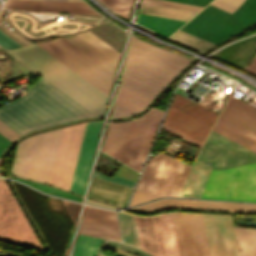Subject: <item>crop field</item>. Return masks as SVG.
<instances>
[{
    "instance_id": "c21b1889",
    "label": "crop field",
    "mask_w": 256,
    "mask_h": 256,
    "mask_svg": "<svg viewBox=\"0 0 256 256\" xmlns=\"http://www.w3.org/2000/svg\"><path fill=\"white\" fill-rule=\"evenodd\" d=\"M63 202H64L66 208L68 209L70 215L72 216L74 222L76 223L81 205L76 204V203H72V202H69V201H65V200H63Z\"/></svg>"
},
{
    "instance_id": "03da06ac",
    "label": "crop field",
    "mask_w": 256,
    "mask_h": 256,
    "mask_svg": "<svg viewBox=\"0 0 256 256\" xmlns=\"http://www.w3.org/2000/svg\"><path fill=\"white\" fill-rule=\"evenodd\" d=\"M0 133L11 141H13L14 139L20 136L16 132H14L12 129H10L8 126L3 124L1 121H0Z\"/></svg>"
},
{
    "instance_id": "8a807250",
    "label": "crop field",
    "mask_w": 256,
    "mask_h": 256,
    "mask_svg": "<svg viewBox=\"0 0 256 256\" xmlns=\"http://www.w3.org/2000/svg\"><path fill=\"white\" fill-rule=\"evenodd\" d=\"M91 116L43 78L24 97L0 109V120L20 135Z\"/></svg>"
},
{
    "instance_id": "d8731c3e",
    "label": "crop field",
    "mask_w": 256,
    "mask_h": 256,
    "mask_svg": "<svg viewBox=\"0 0 256 256\" xmlns=\"http://www.w3.org/2000/svg\"><path fill=\"white\" fill-rule=\"evenodd\" d=\"M38 45L108 95L114 75L65 39L61 38Z\"/></svg>"
},
{
    "instance_id": "214f88e0",
    "label": "crop field",
    "mask_w": 256,
    "mask_h": 256,
    "mask_svg": "<svg viewBox=\"0 0 256 256\" xmlns=\"http://www.w3.org/2000/svg\"><path fill=\"white\" fill-rule=\"evenodd\" d=\"M132 190V188L94 177L88 197L125 207Z\"/></svg>"
},
{
    "instance_id": "e52e79f7",
    "label": "crop field",
    "mask_w": 256,
    "mask_h": 256,
    "mask_svg": "<svg viewBox=\"0 0 256 256\" xmlns=\"http://www.w3.org/2000/svg\"><path fill=\"white\" fill-rule=\"evenodd\" d=\"M213 131L256 152V108L230 96Z\"/></svg>"
},
{
    "instance_id": "4177f3b9",
    "label": "crop field",
    "mask_w": 256,
    "mask_h": 256,
    "mask_svg": "<svg viewBox=\"0 0 256 256\" xmlns=\"http://www.w3.org/2000/svg\"><path fill=\"white\" fill-rule=\"evenodd\" d=\"M140 13L187 21L197 12L143 2Z\"/></svg>"
},
{
    "instance_id": "4a817a6b",
    "label": "crop field",
    "mask_w": 256,
    "mask_h": 256,
    "mask_svg": "<svg viewBox=\"0 0 256 256\" xmlns=\"http://www.w3.org/2000/svg\"><path fill=\"white\" fill-rule=\"evenodd\" d=\"M63 129V128H62ZM62 129L46 132L44 134L34 180L49 182L55 155L60 141Z\"/></svg>"
},
{
    "instance_id": "92a150f3",
    "label": "crop field",
    "mask_w": 256,
    "mask_h": 256,
    "mask_svg": "<svg viewBox=\"0 0 256 256\" xmlns=\"http://www.w3.org/2000/svg\"><path fill=\"white\" fill-rule=\"evenodd\" d=\"M255 53L256 35H253L230 46L224 47L211 56L243 69Z\"/></svg>"
},
{
    "instance_id": "b80d0937",
    "label": "crop field",
    "mask_w": 256,
    "mask_h": 256,
    "mask_svg": "<svg viewBox=\"0 0 256 256\" xmlns=\"http://www.w3.org/2000/svg\"><path fill=\"white\" fill-rule=\"evenodd\" d=\"M0 45L5 49H14L20 47L16 42L6 36L3 32L0 31Z\"/></svg>"
},
{
    "instance_id": "1d83c4d3",
    "label": "crop field",
    "mask_w": 256,
    "mask_h": 256,
    "mask_svg": "<svg viewBox=\"0 0 256 256\" xmlns=\"http://www.w3.org/2000/svg\"><path fill=\"white\" fill-rule=\"evenodd\" d=\"M104 240L78 235L73 256H96Z\"/></svg>"
},
{
    "instance_id": "b54c1fbb",
    "label": "crop field",
    "mask_w": 256,
    "mask_h": 256,
    "mask_svg": "<svg viewBox=\"0 0 256 256\" xmlns=\"http://www.w3.org/2000/svg\"><path fill=\"white\" fill-rule=\"evenodd\" d=\"M162 129H164V130H166V131H168V132H170V133H172V134H174V135H176V136H178V137H180V138H182V139H184V140H186V141H188V142H190V143H192V144H194V145H196V146H198L200 148L202 146V144H200V143L190 139L189 137H187V136L177 132L176 130H174V129L166 126V125H163Z\"/></svg>"
},
{
    "instance_id": "5a996713",
    "label": "crop field",
    "mask_w": 256,
    "mask_h": 256,
    "mask_svg": "<svg viewBox=\"0 0 256 256\" xmlns=\"http://www.w3.org/2000/svg\"><path fill=\"white\" fill-rule=\"evenodd\" d=\"M134 217L142 249L156 256H179L170 213Z\"/></svg>"
},
{
    "instance_id": "dd49c442",
    "label": "crop field",
    "mask_w": 256,
    "mask_h": 256,
    "mask_svg": "<svg viewBox=\"0 0 256 256\" xmlns=\"http://www.w3.org/2000/svg\"><path fill=\"white\" fill-rule=\"evenodd\" d=\"M200 198L256 202V163L226 170L212 169Z\"/></svg>"
},
{
    "instance_id": "3316defc",
    "label": "crop field",
    "mask_w": 256,
    "mask_h": 256,
    "mask_svg": "<svg viewBox=\"0 0 256 256\" xmlns=\"http://www.w3.org/2000/svg\"><path fill=\"white\" fill-rule=\"evenodd\" d=\"M0 239L44 250L4 180L1 179Z\"/></svg>"
},
{
    "instance_id": "dafd665d",
    "label": "crop field",
    "mask_w": 256,
    "mask_h": 256,
    "mask_svg": "<svg viewBox=\"0 0 256 256\" xmlns=\"http://www.w3.org/2000/svg\"><path fill=\"white\" fill-rule=\"evenodd\" d=\"M211 169V167L195 160L188 171L178 196L199 198Z\"/></svg>"
},
{
    "instance_id": "c035e120",
    "label": "crop field",
    "mask_w": 256,
    "mask_h": 256,
    "mask_svg": "<svg viewBox=\"0 0 256 256\" xmlns=\"http://www.w3.org/2000/svg\"><path fill=\"white\" fill-rule=\"evenodd\" d=\"M135 113L136 112L131 111V110L126 109V108H123V107L118 106V105L115 104L113 114H112V118L127 117V116H130V115L135 114Z\"/></svg>"
},
{
    "instance_id": "73cf0c24",
    "label": "crop field",
    "mask_w": 256,
    "mask_h": 256,
    "mask_svg": "<svg viewBox=\"0 0 256 256\" xmlns=\"http://www.w3.org/2000/svg\"><path fill=\"white\" fill-rule=\"evenodd\" d=\"M86 201H87V203H89V204L98 205V206H102V207H106V208L121 209V208H117V207H114V206H110V205L103 204V203L96 202V201L89 200V199H86Z\"/></svg>"
},
{
    "instance_id": "425ffa30",
    "label": "crop field",
    "mask_w": 256,
    "mask_h": 256,
    "mask_svg": "<svg viewBox=\"0 0 256 256\" xmlns=\"http://www.w3.org/2000/svg\"><path fill=\"white\" fill-rule=\"evenodd\" d=\"M219 1H222L224 3H227L231 6H234V7H238L240 6L245 0H219Z\"/></svg>"
},
{
    "instance_id": "22f410ed",
    "label": "crop field",
    "mask_w": 256,
    "mask_h": 256,
    "mask_svg": "<svg viewBox=\"0 0 256 256\" xmlns=\"http://www.w3.org/2000/svg\"><path fill=\"white\" fill-rule=\"evenodd\" d=\"M210 256H238L230 216L202 215Z\"/></svg>"
},
{
    "instance_id": "ac0d7876",
    "label": "crop field",
    "mask_w": 256,
    "mask_h": 256,
    "mask_svg": "<svg viewBox=\"0 0 256 256\" xmlns=\"http://www.w3.org/2000/svg\"><path fill=\"white\" fill-rule=\"evenodd\" d=\"M190 62L132 37L120 86L153 99Z\"/></svg>"
},
{
    "instance_id": "120bbe31",
    "label": "crop field",
    "mask_w": 256,
    "mask_h": 256,
    "mask_svg": "<svg viewBox=\"0 0 256 256\" xmlns=\"http://www.w3.org/2000/svg\"><path fill=\"white\" fill-rule=\"evenodd\" d=\"M169 39L176 41L180 44H183L187 47H190L194 50H197L201 53H203L204 51L208 50L209 48L215 45L203 39L199 41L200 38H197L195 36H192L180 30H178L172 36H170Z\"/></svg>"
},
{
    "instance_id": "28ad6ade",
    "label": "crop field",
    "mask_w": 256,
    "mask_h": 256,
    "mask_svg": "<svg viewBox=\"0 0 256 256\" xmlns=\"http://www.w3.org/2000/svg\"><path fill=\"white\" fill-rule=\"evenodd\" d=\"M85 124L63 129L49 183L69 190Z\"/></svg>"
},
{
    "instance_id": "ae1a2a85",
    "label": "crop field",
    "mask_w": 256,
    "mask_h": 256,
    "mask_svg": "<svg viewBox=\"0 0 256 256\" xmlns=\"http://www.w3.org/2000/svg\"><path fill=\"white\" fill-rule=\"evenodd\" d=\"M150 101L151 99L149 98L120 87L115 103L138 112L143 109Z\"/></svg>"
},
{
    "instance_id": "5866460e",
    "label": "crop field",
    "mask_w": 256,
    "mask_h": 256,
    "mask_svg": "<svg viewBox=\"0 0 256 256\" xmlns=\"http://www.w3.org/2000/svg\"><path fill=\"white\" fill-rule=\"evenodd\" d=\"M10 178L16 179L20 182H23L27 185H30V186H32V187H34V188H36V189H38L42 192H45L47 194L63 197V198L78 201V202H81V199H82L81 197H78L76 195L67 193L65 191L59 190V189L54 188V187H50V186H46V185H42V184H38V183L26 181V180H22V179H18V178H14V177H10Z\"/></svg>"
},
{
    "instance_id": "730fd06b",
    "label": "crop field",
    "mask_w": 256,
    "mask_h": 256,
    "mask_svg": "<svg viewBox=\"0 0 256 256\" xmlns=\"http://www.w3.org/2000/svg\"><path fill=\"white\" fill-rule=\"evenodd\" d=\"M64 38L67 41H69L71 44L76 46L78 49H80L82 52H84L86 55L91 57L93 60H95L97 63L102 65L104 68H106L112 74L115 73L117 64H115L113 61H111L109 58H107L101 52L96 50L94 47H92L90 44H88L86 41H84L78 35L74 34V35L67 36Z\"/></svg>"
},
{
    "instance_id": "028f5c9d",
    "label": "crop field",
    "mask_w": 256,
    "mask_h": 256,
    "mask_svg": "<svg viewBox=\"0 0 256 256\" xmlns=\"http://www.w3.org/2000/svg\"><path fill=\"white\" fill-rule=\"evenodd\" d=\"M109 8L122 15L123 17H129L133 0H100Z\"/></svg>"
},
{
    "instance_id": "733c2abd",
    "label": "crop field",
    "mask_w": 256,
    "mask_h": 256,
    "mask_svg": "<svg viewBox=\"0 0 256 256\" xmlns=\"http://www.w3.org/2000/svg\"><path fill=\"white\" fill-rule=\"evenodd\" d=\"M43 134L31 136L18 144L10 174L33 178Z\"/></svg>"
},
{
    "instance_id": "d9b57169",
    "label": "crop field",
    "mask_w": 256,
    "mask_h": 256,
    "mask_svg": "<svg viewBox=\"0 0 256 256\" xmlns=\"http://www.w3.org/2000/svg\"><path fill=\"white\" fill-rule=\"evenodd\" d=\"M3 8L99 15L84 2L55 0H8Z\"/></svg>"
},
{
    "instance_id": "5142ce71",
    "label": "crop field",
    "mask_w": 256,
    "mask_h": 256,
    "mask_svg": "<svg viewBox=\"0 0 256 256\" xmlns=\"http://www.w3.org/2000/svg\"><path fill=\"white\" fill-rule=\"evenodd\" d=\"M165 208H185L198 210H217L227 212H256V205L228 203V202H212V201H196V200H180V199H162L142 206L131 208L135 211L150 212Z\"/></svg>"
},
{
    "instance_id": "25e5ab78",
    "label": "crop field",
    "mask_w": 256,
    "mask_h": 256,
    "mask_svg": "<svg viewBox=\"0 0 256 256\" xmlns=\"http://www.w3.org/2000/svg\"><path fill=\"white\" fill-rule=\"evenodd\" d=\"M11 141H9L7 138H5L4 136H2L0 134V154L3 151V149L10 143Z\"/></svg>"
},
{
    "instance_id": "cbeb9de0",
    "label": "crop field",
    "mask_w": 256,
    "mask_h": 256,
    "mask_svg": "<svg viewBox=\"0 0 256 256\" xmlns=\"http://www.w3.org/2000/svg\"><path fill=\"white\" fill-rule=\"evenodd\" d=\"M102 123L87 121L71 191L84 195Z\"/></svg>"
},
{
    "instance_id": "89e229c0",
    "label": "crop field",
    "mask_w": 256,
    "mask_h": 256,
    "mask_svg": "<svg viewBox=\"0 0 256 256\" xmlns=\"http://www.w3.org/2000/svg\"><path fill=\"white\" fill-rule=\"evenodd\" d=\"M245 70L256 75V58L252 61V63Z\"/></svg>"
},
{
    "instance_id": "d3111659",
    "label": "crop field",
    "mask_w": 256,
    "mask_h": 256,
    "mask_svg": "<svg viewBox=\"0 0 256 256\" xmlns=\"http://www.w3.org/2000/svg\"><path fill=\"white\" fill-rule=\"evenodd\" d=\"M82 220L119 228L115 212L90 206H87Z\"/></svg>"
},
{
    "instance_id": "5d738f31",
    "label": "crop field",
    "mask_w": 256,
    "mask_h": 256,
    "mask_svg": "<svg viewBox=\"0 0 256 256\" xmlns=\"http://www.w3.org/2000/svg\"><path fill=\"white\" fill-rule=\"evenodd\" d=\"M169 1H175V2H180V3L205 7L212 0H169Z\"/></svg>"
},
{
    "instance_id": "f4fd0767",
    "label": "crop field",
    "mask_w": 256,
    "mask_h": 256,
    "mask_svg": "<svg viewBox=\"0 0 256 256\" xmlns=\"http://www.w3.org/2000/svg\"><path fill=\"white\" fill-rule=\"evenodd\" d=\"M189 167L167 154L158 153L150 159L130 205L177 196Z\"/></svg>"
},
{
    "instance_id": "0bd39190",
    "label": "crop field",
    "mask_w": 256,
    "mask_h": 256,
    "mask_svg": "<svg viewBox=\"0 0 256 256\" xmlns=\"http://www.w3.org/2000/svg\"><path fill=\"white\" fill-rule=\"evenodd\" d=\"M94 176L102 178V179H105V180H109V181H112V182H115V183H119V184H122V185H125V186H129V187H132V188L134 187V184H135L134 182L125 180V179L117 177V176H115V178L112 179V178H110V177H108L106 175H103V174H101V173H99L97 171L95 172Z\"/></svg>"
},
{
    "instance_id": "d32e631a",
    "label": "crop field",
    "mask_w": 256,
    "mask_h": 256,
    "mask_svg": "<svg viewBox=\"0 0 256 256\" xmlns=\"http://www.w3.org/2000/svg\"><path fill=\"white\" fill-rule=\"evenodd\" d=\"M78 35L82 37L84 40H86L88 43H90L92 46L97 48L99 51H101L103 54H105L107 57H109L111 60H113L115 63H118L120 53H118L116 50H114L109 45L104 43L91 32L86 31L78 33Z\"/></svg>"
},
{
    "instance_id": "bc2a9ffb",
    "label": "crop field",
    "mask_w": 256,
    "mask_h": 256,
    "mask_svg": "<svg viewBox=\"0 0 256 256\" xmlns=\"http://www.w3.org/2000/svg\"><path fill=\"white\" fill-rule=\"evenodd\" d=\"M164 124L176 129L177 131L200 143H203L211 127L173 107H170L169 114Z\"/></svg>"
},
{
    "instance_id": "750c4746",
    "label": "crop field",
    "mask_w": 256,
    "mask_h": 256,
    "mask_svg": "<svg viewBox=\"0 0 256 256\" xmlns=\"http://www.w3.org/2000/svg\"><path fill=\"white\" fill-rule=\"evenodd\" d=\"M79 232L87 235L105 238V239H113V240L121 241L119 229L108 227V226H103V225L82 221Z\"/></svg>"
},
{
    "instance_id": "34b2d1b8",
    "label": "crop field",
    "mask_w": 256,
    "mask_h": 256,
    "mask_svg": "<svg viewBox=\"0 0 256 256\" xmlns=\"http://www.w3.org/2000/svg\"><path fill=\"white\" fill-rule=\"evenodd\" d=\"M11 54L96 116H102L108 96L45 52L39 46L9 50Z\"/></svg>"
},
{
    "instance_id": "d1516ede",
    "label": "crop field",
    "mask_w": 256,
    "mask_h": 256,
    "mask_svg": "<svg viewBox=\"0 0 256 256\" xmlns=\"http://www.w3.org/2000/svg\"><path fill=\"white\" fill-rule=\"evenodd\" d=\"M172 215L180 256H209L201 215Z\"/></svg>"
},
{
    "instance_id": "00972430",
    "label": "crop field",
    "mask_w": 256,
    "mask_h": 256,
    "mask_svg": "<svg viewBox=\"0 0 256 256\" xmlns=\"http://www.w3.org/2000/svg\"><path fill=\"white\" fill-rule=\"evenodd\" d=\"M171 106L212 126L216 119V113L176 94Z\"/></svg>"
},
{
    "instance_id": "bd1437ed",
    "label": "crop field",
    "mask_w": 256,
    "mask_h": 256,
    "mask_svg": "<svg viewBox=\"0 0 256 256\" xmlns=\"http://www.w3.org/2000/svg\"><path fill=\"white\" fill-rule=\"evenodd\" d=\"M118 217L123 242L140 248L133 215L124 212H118Z\"/></svg>"
},
{
    "instance_id": "d23c7cc5",
    "label": "crop field",
    "mask_w": 256,
    "mask_h": 256,
    "mask_svg": "<svg viewBox=\"0 0 256 256\" xmlns=\"http://www.w3.org/2000/svg\"><path fill=\"white\" fill-rule=\"evenodd\" d=\"M210 5L215 6L217 8H220V9H223V10L228 11L230 13H232L236 9L234 7L226 5V4H224L222 2H219L217 0L213 1Z\"/></svg>"
},
{
    "instance_id": "412701ff",
    "label": "crop field",
    "mask_w": 256,
    "mask_h": 256,
    "mask_svg": "<svg viewBox=\"0 0 256 256\" xmlns=\"http://www.w3.org/2000/svg\"><path fill=\"white\" fill-rule=\"evenodd\" d=\"M256 22V0H246L232 14L208 5L180 30L215 44Z\"/></svg>"
},
{
    "instance_id": "eef30255",
    "label": "crop field",
    "mask_w": 256,
    "mask_h": 256,
    "mask_svg": "<svg viewBox=\"0 0 256 256\" xmlns=\"http://www.w3.org/2000/svg\"><path fill=\"white\" fill-rule=\"evenodd\" d=\"M239 256H256V229L235 228Z\"/></svg>"
},
{
    "instance_id": "1f2cbd36",
    "label": "crop field",
    "mask_w": 256,
    "mask_h": 256,
    "mask_svg": "<svg viewBox=\"0 0 256 256\" xmlns=\"http://www.w3.org/2000/svg\"><path fill=\"white\" fill-rule=\"evenodd\" d=\"M104 249H107V250H110V251H113V252H116V253H119V254H122V255H126V256H135V255H132V254H129V253L117 250L115 248H112V247H109V246H106V245L104 246Z\"/></svg>"
},
{
    "instance_id": "e1f06a70",
    "label": "crop field",
    "mask_w": 256,
    "mask_h": 256,
    "mask_svg": "<svg viewBox=\"0 0 256 256\" xmlns=\"http://www.w3.org/2000/svg\"><path fill=\"white\" fill-rule=\"evenodd\" d=\"M144 1L145 2H151V3H157V4H162V5L173 6V7L185 8V9H190V10H196V11H199V10L202 9V7H196V6H191V5L174 3V2L164 1V0H144Z\"/></svg>"
},
{
    "instance_id": "a9b5d70f",
    "label": "crop field",
    "mask_w": 256,
    "mask_h": 256,
    "mask_svg": "<svg viewBox=\"0 0 256 256\" xmlns=\"http://www.w3.org/2000/svg\"><path fill=\"white\" fill-rule=\"evenodd\" d=\"M137 23L168 37L185 22L140 14Z\"/></svg>"
}]
</instances>
